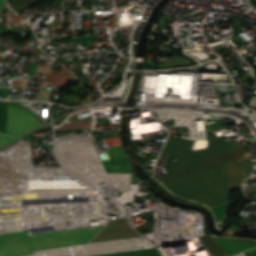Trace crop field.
<instances>
[{
	"mask_svg": "<svg viewBox=\"0 0 256 256\" xmlns=\"http://www.w3.org/2000/svg\"><path fill=\"white\" fill-rule=\"evenodd\" d=\"M208 149L190 152L192 140L169 137L162 156L181 158L179 165L169 163L162 180L203 169L242 157L247 150L240 140L229 142L225 137L208 139ZM245 179L235 160L186 174L162 183L174 194L200 201L209 208L225 203L229 197L226 184Z\"/></svg>",
	"mask_w": 256,
	"mask_h": 256,
	"instance_id": "obj_1",
	"label": "crop field"
},
{
	"mask_svg": "<svg viewBox=\"0 0 256 256\" xmlns=\"http://www.w3.org/2000/svg\"><path fill=\"white\" fill-rule=\"evenodd\" d=\"M103 226L27 236L28 231L0 235V256H21L32 251L89 242Z\"/></svg>",
	"mask_w": 256,
	"mask_h": 256,
	"instance_id": "obj_2",
	"label": "crop field"
},
{
	"mask_svg": "<svg viewBox=\"0 0 256 256\" xmlns=\"http://www.w3.org/2000/svg\"><path fill=\"white\" fill-rule=\"evenodd\" d=\"M42 125V123L33 118L28 112L15 106H8V135L19 138Z\"/></svg>",
	"mask_w": 256,
	"mask_h": 256,
	"instance_id": "obj_3",
	"label": "crop field"
},
{
	"mask_svg": "<svg viewBox=\"0 0 256 256\" xmlns=\"http://www.w3.org/2000/svg\"><path fill=\"white\" fill-rule=\"evenodd\" d=\"M127 224V218L111 220L90 242L101 240L124 239L138 237Z\"/></svg>",
	"mask_w": 256,
	"mask_h": 256,
	"instance_id": "obj_4",
	"label": "crop field"
},
{
	"mask_svg": "<svg viewBox=\"0 0 256 256\" xmlns=\"http://www.w3.org/2000/svg\"><path fill=\"white\" fill-rule=\"evenodd\" d=\"M73 77L74 76L70 72L61 66V70L59 72L52 70L44 81L61 89Z\"/></svg>",
	"mask_w": 256,
	"mask_h": 256,
	"instance_id": "obj_5",
	"label": "crop field"
},
{
	"mask_svg": "<svg viewBox=\"0 0 256 256\" xmlns=\"http://www.w3.org/2000/svg\"><path fill=\"white\" fill-rule=\"evenodd\" d=\"M199 239L212 256H226L210 235L199 237Z\"/></svg>",
	"mask_w": 256,
	"mask_h": 256,
	"instance_id": "obj_6",
	"label": "crop field"
},
{
	"mask_svg": "<svg viewBox=\"0 0 256 256\" xmlns=\"http://www.w3.org/2000/svg\"><path fill=\"white\" fill-rule=\"evenodd\" d=\"M96 256H159V255L156 253L155 248H151V249L119 252V253L96 255Z\"/></svg>",
	"mask_w": 256,
	"mask_h": 256,
	"instance_id": "obj_7",
	"label": "crop field"
},
{
	"mask_svg": "<svg viewBox=\"0 0 256 256\" xmlns=\"http://www.w3.org/2000/svg\"><path fill=\"white\" fill-rule=\"evenodd\" d=\"M7 105L0 104V132L6 134Z\"/></svg>",
	"mask_w": 256,
	"mask_h": 256,
	"instance_id": "obj_8",
	"label": "crop field"
},
{
	"mask_svg": "<svg viewBox=\"0 0 256 256\" xmlns=\"http://www.w3.org/2000/svg\"><path fill=\"white\" fill-rule=\"evenodd\" d=\"M92 121H93V119L75 121L72 123H66L63 126H61L60 128H79V127L91 128L90 125H91Z\"/></svg>",
	"mask_w": 256,
	"mask_h": 256,
	"instance_id": "obj_9",
	"label": "crop field"
},
{
	"mask_svg": "<svg viewBox=\"0 0 256 256\" xmlns=\"http://www.w3.org/2000/svg\"><path fill=\"white\" fill-rule=\"evenodd\" d=\"M239 166L242 168L243 172L246 174L247 178L254 170L251 162L249 160L238 162Z\"/></svg>",
	"mask_w": 256,
	"mask_h": 256,
	"instance_id": "obj_10",
	"label": "crop field"
},
{
	"mask_svg": "<svg viewBox=\"0 0 256 256\" xmlns=\"http://www.w3.org/2000/svg\"><path fill=\"white\" fill-rule=\"evenodd\" d=\"M10 2H11L12 7L16 8V7L34 3L35 1L34 0H10Z\"/></svg>",
	"mask_w": 256,
	"mask_h": 256,
	"instance_id": "obj_11",
	"label": "crop field"
},
{
	"mask_svg": "<svg viewBox=\"0 0 256 256\" xmlns=\"http://www.w3.org/2000/svg\"><path fill=\"white\" fill-rule=\"evenodd\" d=\"M51 92L41 89L38 95L34 98V100H42V101H50L49 96Z\"/></svg>",
	"mask_w": 256,
	"mask_h": 256,
	"instance_id": "obj_12",
	"label": "crop field"
},
{
	"mask_svg": "<svg viewBox=\"0 0 256 256\" xmlns=\"http://www.w3.org/2000/svg\"><path fill=\"white\" fill-rule=\"evenodd\" d=\"M16 138L4 135L0 133V147L4 146L5 144L15 140Z\"/></svg>",
	"mask_w": 256,
	"mask_h": 256,
	"instance_id": "obj_13",
	"label": "crop field"
},
{
	"mask_svg": "<svg viewBox=\"0 0 256 256\" xmlns=\"http://www.w3.org/2000/svg\"><path fill=\"white\" fill-rule=\"evenodd\" d=\"M246 256H256V249L245 252Z\"/></svg>",
	"mask_w": 256,
	"mask_h": 256,
	"instance_id": "obj_14",
	"label": "crop field"
},
{
	"mask_svg": "<svg viewBox=\"0 0 256 256\" xmlns=\"http://www.w3.org/2000/svg\"><path fill=\"white\" fill-rule=\"evenodd\" d=\"M3 4H7L6 1L5 0H0V14H1Z\"/></svg>",
	"mask_w": 256,
	"mask_h": 256,
	"instance_id": "obj_15",
	"label": "crop field"
}]
</instances>
